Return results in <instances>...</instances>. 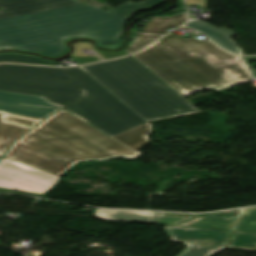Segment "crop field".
<instances>
[{"label":"crop field","mask_w":256,"mask_h":256,"mask_svg":"<svg viewBox=\"0 0 256 256\" xmlns=\"http://www.w3.org/2000/svg\"><path fill=\"white\" fill-rule=\"evenodd\" d=\"M0 45L57 57L64 40L90 37L116 47L128 19L78 0H0Z\"/></svg>","instance_id":"crop-field-1"},{"label":"crop field","mask_w":256,"mask_h":256,"mask_svg":"<svg viewBox=\"0 0 256 256\" xmlns=\"http://www.w3.org/2000/svg\"><path fill=\"white\" fill-rule=\"evenodd\" d=\"M62 68L18 64L0 65V90L42 96L112 137L144 122L80 67Z\"/></svg>","instance_id":"crop-field-2"},{"label":"crop field","mask_w":256,"mask_h":256,"mask_svg":"<svg viewBox=\"0 0 256 256\" xmlns=\"http://www.w3.org/2000/svg\"><path fill=\"white\" fill-rule=\"evenodd\" d=\"M132 56L184 97L252 79L242 59L194 37L170 34Z\"/></svg>","instance_id":"crop-field-3"},{"label":"crop field","mask_w":256,"mask_h":256,"mask_svg":"<svg viewBox=\"0 0 256 256\" xmlns=\"http://www.w3.org/2000/svg\"><path fill=\"white\" fill-rule=\"evenodd\" d=\"M117 155L139 156L62 110L13 144L5 157L61 176L79 161Z\"/></svg>","instance_id":"crop-field-4"},{"label":"crop field","mask_w":256,"mask_h":256,"mask_svg":"<svg viewBox=\"0 0 256 256\" xmlns=\"http://www.w3.org/2000/svg\"><path fill=\"white\" fill-rule=\"evenodd\" d=\"M81 67L148 121L200 111L131 56Z\"/></svg>","instance_id":"crop-field-5"},{"label":"crop field","mask_w":256,"mask_h":256,"mask_svg":"<svg viewBox=\"0 0 256 256\" xmlns=\"http://www.w3.org/2000/svg\"><path fill=\"white\" fill-rule=\"evenodd\" d=\"M60 109L41 97L0 91V111L6 113L5 120L22 126L33 128Z\"/></svg>","instance_id":"crop-field-6"},{"label":"crop field","mask_w":256,"mask_h":256,"mask_svg":"<svg viewBox=\"0 0 256 256\" xmlns=\"http://www.w3.org/2000/svg\"><path fill=\"white\" fill-rule=\"evenodd\" d=\"M58 176L37 168L3 158L0 162V187L44 194Z\"/></svg>","instance_id":"crop-field-7"},{"label":"crop field","mask_w":256,"mask_h":256,"mask_svg":"<svg viewBox=\"0 0 256 256\" xmlns=\"http://www.w3.org/2000/svg\"><path fill=\"white\" fill-rule=\"evenodd\" d=\"M172 241L185 242L187 247L178 256H209L224 247L230 231L167 226Z\"/></svg>","instance_id":"crop-field-8"},{"label":"crop field","mask_w":256,"mask_h":256,"mask_svg":"<svg viewBox=\"0 0 256 256\" xmlns=\"http://www.w3.org/2000/svg\"><path fill=\"white\" fill-rule=\"evenodd\" d=\"M186 26L207 35L212 41H214L222 48L231 51L235 54L243 55L241 50L231 40V38L234 35L232 31L225 28L216 29L198 20H193L189 22Z\"/></svg>","instance_id":"crop-field-9"},{"label":"crop field","mask_w":256,"mask_h":256,"mask_svg":"<svg viewBox=\"0 0 256 256\" xmlns=\"http://www.w3.org/2000/svg\"><path fill=\"white\" fill-rule=\"evenodd\" d=\"M149 132H151V127L150 123L148 122L121 135H118L113 139L138 152L137 150L149 143L145 136V134Z\"/></svg>","instance_id":"crop-field-10"},{"label":"crop field","mask_w":256,"mask_h":256,"mask_svg":"<svg viewBox=\"0 0 256 256\" xmlns=\"http://www.w3.org/2000/svg\"><path fill=\"white\" fill-rule=\"evenodd\" d=\"M152 212L97 209L95 216L106 220L150 223Z\"/></svg>","instance_id":"crop-field-11"},{"label":"crop field","mask_w":256,"mask_h":256,"mask_svg":"<svg viewBox=\"0 0 256 256\" xmlns=\"http://www.w3.org/2000/svg\"><path fill=\"white\" fill-rule=\"evenodd\" d=\"M240 211L241 210H239L236 217H230V216L217 217V216H211V215H200L179 225L192 226V227H205V228L232 229Z\"/></svg>","instance_id":"crop-field-12"},{"label":"crop field","mask_w":256,"mask_h":256,"mask_svg":"<svg viewBox=\"0 0 256 256\" xmlns=\"http://www.w3.org/2000/svg\"><path fill=\"white\" fill-rule=\"evenodd\" d=\"M186 20H187V16L185 12L170 18L153 17L148 22V24L143 29H141L140 32L164 34L168 32L167 31L168 29L172 27H176L184 23Z\"/></svg>","instance_id":"crop-field-13"},{"label":"crop field","mask_w":256,"mask_h":256,"mask_svg":"<svg viewBox=\"0 0 256 256\" xmlns=\"http://www.w3.org/2000/svg\"><path fill=\"white\" fill-rule=\"evenodd\" d=\"M4 114L0 113V155L3 156L8 145L23 135L28 128L8 124L3 121Z\"/></svg>","instance_id":"crop-field-14"},{"label":"crop field","mask_w":256,"mask_h":256,"mask_svg":"<svg viewBox=\"0 0 256 256\" xmlns=\"http://www.w3.org/2000/svg\"><path fill=\"white\" fill-rule=\"evenodd\" d=\"M164 0H145L144 2L138 4L132 1H126L122 5L108 11L110 13L124 16L130 18L133 12L135 11H145L150 10L160 4H162Z\"/></svg>","instance_id":"crop-field-15"},{"label":"crop field","mask_w":256,"mask_h":256,"mask_svg":"<svg viewBox=\"0 0 256 256\" xmlns=\"http://www.w3.org/2000/svg\"><path fill=\"white\" fill-rule=\"evenodd\" d=\"M226 249L256 251V233L234 231Z\"/></svg>","instance_id":"crop-field-16"},{"label":"crop field","mask_w":256,"mask_h":256,"mask_svg":"<svg viewBox=\"0 0 256 256\" xmlns=\"http://www.w3.org/2000/svg\"><path fill=\"white\" fill-rule=\"evenodd\" d=\"M197 215L155 212L152 223L176 225Z\"/></svg>","instance_id":"crop-field-17"},{"label":"crop field","mask_w":256,"mask_h":256,"mask_svg":"<svg viewBox=\"0 0 256 256\" xmlns=\"http://www.w3.org/2000/svg\"><path fill=\"white\" fill-rule=\"evenodd\" d=\"M0 62H21V63L56 66V63L53 61L37 58L30 55H21V54H0Z\"/></svg>","instance_id":"crop-field-18"},{"label":"crop field","mask_w":256,"mask_h":256,"mask_svg":"<svg viewBox=\"0 0 256 256\" xmlns=\"http://www.w3.org/2000/svg\"><path fill=\"white\" fill-rule=\"evenodd\" d=\"M234 229L256 231V207L243 209Z\"/></svg>","instance_id":"crop-field-19"},{"label":"crop field","mask_w":256,"mask_h":256,"mask_svg":"<svg viewBox=\"0 0 256 256\" xmlns=\"http://www.w3.org/2000/svg\"><path fill=\"white\" fill-rule=\"evenodd\" d=\"M158 37L160 36L139 34L126 50L130 53Z\"/></svg>","instance_id":"crop-field-20"},{"label":"crop field","mask_w":256,"mask_h":256,"mask_svg":"<svg viewBox=\"0 0 256 256\" xmlns=\"http://www.w3.org/2000/svg\"><path fill=\"white\" fill-rule=\"evenodd\" d=\"M100 54H102L106 59L109 58H113V57H118V56H122V55H126L128 54L127 51L122 50L119 52H111V51H104V50H100L98 48H95Z\"/></svg>","instance_id":"crop-field-21"},{"label":"crop field","mask_w":256,"mask_h":256,"mask_svg":"<svg viewBox=\"0 0 256 256\" xmlns=\"http://www.w3.org/2000/svg\"><path fill=\"white\" fill-rule=\"evenodd\" d=\"M71 59L78 64L98 61L95 57H83V58H71Z\"/></svg>","instance_id":"crop-field-22"},{"label":"crop field","mask_w":256,"mask_h":256,"mask_svg":"<svg viewBox=\"0 0 256 256\" xmlns=\"http://www.w3.org/2000/svg\"><path fill=\"white\" fill-rule=\"evenodd\" d=\"M2 48H13V47L0 46V49H2Z\"/></svg>","instance_id":"crop-field-23"},{"label":"crop field","mask_w":256,"mask_h":256,"mask_svg":"<svg viewBox=\"0 0 256 256\" xmlns=\"http://www.w3.org/2000/svg\"><path fill=\"white\" fill-rule=\"evenodd\" d=\"M64 70H65V69H64ZM81 95H82V94H81ZM77 99H78V98H77ZM77 99H76V100H77ZM76 100H75V101H76Z\"/></svg>","instance_id":"crop-field-24"},{"label":"crop field","mask_w":256,"mask_h":256,"mask_svg":"<svg viewBox=\"0 0 256 256\" xmlns=\"http://www.w3.org/2000/svg\"><path fill=\"white\" fill-rule=\"evenodd\" d=\"M2 157L0 156V159H1Z\"/></svg>","instance_id":"crop-field-25"}]
</instances>
